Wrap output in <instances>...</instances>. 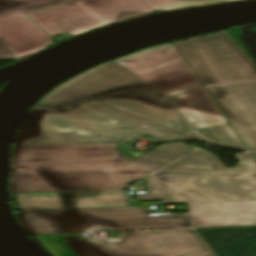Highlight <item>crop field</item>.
Returning a JSON list of instances; mask_svg holds the SVG:
<instances>
[{"mask_svg":"<svg viewBox=\"0 0 256 256\" xmlns=\"http://www.w3.org/2000/svg\"><path fill=\"white\" fill-rule=\"evenodd\" d=\"M0 35L20 59L53 44V40L24 14L1 19Z\"/></svg>","mask_w":256,"mask_h":256,"instance_id":"crop-field-12","label":"crop field"},{"mask_svg":"<svg viewBox=\"0 0 256 256\" xmlns=\"http://www.w3.org/2000/svg\"><path fill=\"white\" fill-rule=\"evenodd\" d=\"M145 181L148 183L147 190L149 194H136L137 200L160 199L151 178Z\"/></svg>","mask_w":256,"mask_h":256,"instance_id":"crop-field-22","label":"crop field"},{"mask_svg":"<svg viewBox=\"0 0 256 256\" xmlns=\"http://www.w3.org/2000/svg\"><path fill=\"white\" fill-rule=\"evenodd\" d=\"M51 0H9L0 3V14Z\"/></svg>","mask_w":256,"mask_h":256,"instance_id":"crop-field-20","label":"crop field"},{"mask_svg":"<svg viewBox=\"0 0 256 256\" xmlns=\"http://www.w3.org/2000/svg\"><path fill=\"white\" fill-rule=\"evenodd\" d=\"M209 130L214 133V131L209 127ZM215 134V133H214ZM216 135V134H215ZM217 136V135H216ZM218 137V136H217ZM219 138V137H218ZM220 140V139H219Z\"/></svg>","mask_w":256,"mask_h":256,"instance_id":"crop-field-28","label":"crop field"},{"mask_svg":"<svg viewBox=\"0 0 256 256\" xmlns=\"http://www.w3.org/2000/svg\"><path fill=\"white\" fill-rule=\"evenodd\" d=\"M21 209L127 205L124 191L17 195Z\"/></svg>","mask_w":256,"mask_h":256,"instance_id":"crop-field-10","label":"crop field"},{"mask_svg":"<svg viewBox=\"0 0 256 256\" xmlns=\"http://www.w3.org/2000/svg\"><path fill=\"white\" fill-rule=\"evenodd\" d=\"M27 15L50 36L64 32L76 35L107 24L77 1Z\"/></svg>","mask_w":256,"mask_h":256,"instance_id":"crop-field-9","label":"crop field"},{"mask_svg":"<svg viewBox=\"0 0 256 256\" xmlns=\"http://www.w3.org/2000/svg\"><path fill=\"white\" fill-rule=\"evenodd\" d=\"M2 1H6V0H0V2H2Z\"/></svg>","mask_w":256,"mask_h":256,"instance_id":"crop-field-30","label":"crop field"},{"mask_svg":"<svg viewBox=\"0 0 256 256\" xmlns=\"http://www.w3.org/2000/svg\"><path fill=\"white\" fill-rule=\"evenodd\" d=\"M235 156L240 166L230 169L197 150L157 172L154 179L168 203L254 201L256 162L250 153Z\"/></svg>","mask_w":256,"mask_h":256,"instance_id":"crop-field-4","label":"crop field"},{"mask_svg":"<svg viewBox=\"0 0 256 256\" xmlns=\"http://www.w3.org/2000/svg\"><path fill=\"white\" fill-rule=\"evenodd\" d=\"M114 61L126 62L123 67L171 97L202 86L173 44L146 49Z\"/></svg>","mask_w":256,"mask_h":256,"instance_id":"crop-field-8","label":"crop field"},{"mask_svg":"<svg viewBox=\"0 0 256 256\" xmlns=\"http://www.w3.org/2000/svg\"><path fill=\"white\" fill-rule=\"evenodd\" d=\"M248 57L256 64V24L226 30Z\"/></svg>","mask_w":256,"mask_h":256,"instance_id":"crop-field-16","label":"crop field"},{"mask_svg":"<svg viewBox=\"0 0 256 256\" xmlns=\"http://www.w3.org/2000/svg\"><path fill=\"white\" fill-rule=\"evenodd\" d=\"M190 130L228 124L204 88L174 98Z\"/></svg>","mask_w":256,"mask_h":256,"instance_id":"crop-field-14","label":"crop field"},{"mask_svg":"<svg viewBox=\"0 0 256 256\" xmlns=\"http://www.w3.org/2000/svg\"><path fill=\"white\" fill-rule=\"evenodd\" d=\"M121 242L84 241L80 234L36 236L48 256H177L207 246L193 229L120 232Z\"/></svg>","mask_w":256,"mask_h":256,"instance_id":"crop-field-6","label":"crop field"},{"mask_svg":"<svg viewBox=\"0 0 256 256\" xmlns=\"http://www.w3.org/2000/svg\"><path fill=\"white\" fill-rule=\"evenodd\" d=\"M182 256H216L209 247Z\"/></svg>","mask_w":256,"mask_h":256,"instance_id":"crop-field-24","label":"crop field"},{"mask_svg":"<svg viewBox=\"0 0 256 256\" xmlns=\"http://www.w3.org/2000/svg\"><path fill=\"white\" fill-rule=\"evenodd\" d=\"M152 173L113 172L116 190L129 188L134 181L141 180Z\"/></svg>","mask_w":256,"mask_h":256,"instance_id":"crop-field-18","label":"crop field"},{"mask_svg":"<svg viewBox=\"0 0 256 256\" xmlns=\"http://www.w3.org/2000/svg\"><path fill=\"white\" fill-rule=\"evenodd\" d=\"M1 37V36H0Z\"/></svg>","mask_w":256,"mask_h":256,"instance_id":"crop-field-31","label":"crop field"},{"mask_svg":"<svg viewBox=\"0 0 256 256\" xmlns=\"http://www.w3.org/2000/svg\"><path fill=\"white\" fill-rule=\"evenodd\" d=\"M78 1L108 23L129 20L158 10L145 0Z\"/></svg>","mask_w":256,"mask_h":256,"instance_id":"crop-field-15","label":"crop field"},{"mask_svg":"<svg viewBox=\"0 0 256 256\" xmlns=\"http://www.w3.org/2000/svg\"><path fill=\"white\" fill-rule=\"evenodd\" d=\"M249 151L256 150V66L225 32L176 43Z\"/></svg>","mask_w":256,"mask_h":256,"instance_id":"crop-field-3","label":"crop field"},{"mask_svg":"<svg viewBox=\"0 0 256 256\" xmlns=\"http://www.w3.org/2000/svg\"><path fill=\"white\" fill-rule=\"evenodd\" d=\"M160 10H175L198 5L194 0H148Z\"/></svg>","mask_w":256,"mask_h":256,"instance_id":"crop-field-19","label":"crop field"},{"mask_svg":"<svg viewBox=\"0 0 256 256\" xmlns=\"http://www.w3.org/2000/svg\"><path fill=\"white\" fill-rule=\"evenodd\" d=\"M126 88L137 89L158 100L170 98L159 89L111 61L60 85L37 105L63 106Z\"/></svg>","mask_w":256,"mask_h":256,"instance_id":"crop-field-7","label":"crop field"},{"mask_svg":"<svg viewBox=\"0 0 256 256\" xmlns=\"http://www.w3.org/2000/svg\"><path fill=\"white\" fill-rule=\"evenodd\" d=\"M199 5H208V4H216L225 1H233V0H195Z\"/></svg>","mask_w":256,"mask_h":256,"instance_id":"crop-field-25","label":"crop field"},{"mask_svg":"<svg viewBox=\"0 0 256 256\" xmlns=\"http://www.w3.org/2000/svg\"><path fill=\"white\" fill-rule=\"evenodd\" d=\"M212 129L220 137L225 146L247 151V149L230 125L216 126L212 127Z\"/></svg>","mask_w":256,"mask_h":256,"instance_id":"crop-field-17","label":"crop field"},{"mask_svg":"<svg viewBox=\"0 0 256 256\" xmlns=\"http://www.w3.org/2000/svg\"><path fill=\"white\" fill-rule=\"evenodd\" d=\"M141 207L23 211L17 217L28 234L190 227L188 215L148 217Z\"/></svg>","mask_w":256,"mask_h":256,"instance_id":"crop-field-5","label":"crop field"},{"mask_svg":"<svg viewBox=\"0 0 256 256\" xmlns=\"http://www.w3.org/2000/svg\"><path fill=\"white\" fill-rule=\"evenodd\" d=\"M193 150L176 143L134 159L117 144L13 146L9 193L115 190L112 171L155 172Z\"/></svg>","mask_w":256,"mask_h":256,"instance_id":"crop-field-2","label":"crop field"},{"mask_svg":"<svg viewBox=\"0 0 256 256\" xmlns=\"http://www.w3.org/2000/svg\"><path fill=\"white\" fill-rule=\"evenodd\" d=\"M19 59L18 56L13 52L9 45L0 38V61L2 60H14Z\"/></svg>","mask_w":256,"mask_h":256,"instance_id":"crop-field-21","label":"crop field"},{"mask_svg":"<svg viewBox=\"0 0 256 256\" xmlns=\"http://www.w3.org/2000/svg\"><path fill=\"white\" fill-rule=\"evenodd\" d=\"M21 13H22V12H20L19 10H17V11H13V12L1 14V15H0V19H1V18H5V17H9V16H13V15H17V14H21Z\"/></svg>","mask_w":256,"mask_h":256,"instance_id":"crop-field-26","label":"crop field"},{"mask_svg":"<svg viewBox=\"0 0 256 256\" xmlns=\"http://www.w3.org/2000/svg\"><path fill=\"white\" fill-rule=\"evenodd\" d=\"M69 1H73V0H54V1H51V2H47V3L35 5V6H32V7L20 9V11H22L24 13V12H28V11L48 7V6H53V5H57V4H61V3L69 2Z\"/></svg>","mask_w":256,"mask_h":256,"instance_id":"crop-field-23","label":"crop field"},{"mask_svg":"<svg viewBox=\"0 0 256 256\" xmlns=\"http://www.w3.org/2000/svg\"><path fill=\"white\" fill-rule=\"evenodd\" d=\"M195 227L256 223V201L190 204Z\"/></svg>","mask_w":256,"mask_h":256,"instance_id":"crop-field-11","label":"crop field"},{"mask_svg":"<svg viewBox=\"0 0 256 256\" xmlns=\"http://www.w3.org/2000/svg\"><path fill=\"white\" fill-rule=\"evenodd\" d=\"M196 230L218 256H256V226Z\"/></svg>","mask_w":256,"mask_h":256,"instance_id":"crop-field-13","label":"crop field"},{"mask_svg":"<svg viewBox=\"0 0 256 256\" xmlns=\"http://www.w3.org/2000/svg\"><path fill=\"white\" fill-rule=\"evenodd\" d=\"M109 96V95H108ZM189 128L173 98L160 102L135 90L62 108L35 106L17 144L125 142L147 134L162 143L182 140Z\"/></svg>","mask_w":256,"mask_h":256,"instance_id":"crop-field-1","label":"crop field"},{"mask_svg":"<svg viewBox=\"0 0 256 256\" xmlns=\"http://www.w3.org/2000/svg\"><path fill=\"white\" fill-rule=\"evenodd\" d=\"M142 203V206H149V205H152V203L154 202H141Z\"/></svg>","mask_w":256,"mask_h":256,"instance_id":"crop-field-27","label":"crop field"},{"mask_svg":"<svg viewBox=\"0 0 256 256\" xmlns=\"http://www.w3.org/2000/svg\"><path fill=\"white\" fill-rule=\"evenodd\" d=\"M252 155H253V156L255 157V159H256V152H253Z\"/></svg>","mask_w":256,"mask_h":256,"instance_id":"crop-field-29","label":"crop field"}]
</instances>
